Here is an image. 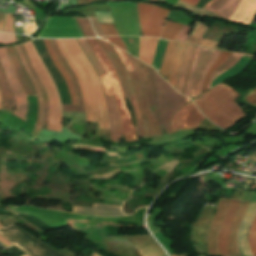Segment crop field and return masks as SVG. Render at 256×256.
Here are the masks:
<instances>
[{
	"label": "crop field",
	"instance_id": "1",
	"mask_svg": "<svg viewBox=\"0 0 256 256\" xmlns=\"http://www.w3.org/2000/svg\"><path fill=\"white\" fill-rule=\"evenodd\" d=\"M56 42L77 77L83 94L87 121L99 122L98 129H109L101 85L76 39L56 40Z\"/></svg>",
	"mask_w": 256,
	"mask_h": 256
},
{
	"label": "crop field",
	"instance_id": "2",
	"mask_svg": "<svg viewBox=\"0 0 256 256\" xmlns=\"http://www.w3.org/2000/svg\"><path fill=\"white\" fill-rule=\"evenodd\" d=\"M204 94L206 96L195 103L216 125L228 129L245 116L233 101L240 94L222 83Z\"/></svg>",
	"mask_w": 256,
	"mask_h": 256
},
{
	"label": "crop field",
	"instance_id": "3",
	"mask_svg": "<svg viewBox=\"0 0 256 256\" xmlns=\"http://www.w3.org/2000/svg\"><path fill=\"white\" fill-rule=\"evenodd\" d=\"M86 40L106 71L98 76L103 86L104 94L113 95L115 98L117 109L122 121V134L125 137L126 142L135 141L137 140L135 127L133 126L129 113L124 105L125 96L116 71L96 39Z\"/></svg>",
	"mask_w": 256,
	"mask_h": 256
},
{
	"label": "crop field",
	"instance_id": "4",
	"mask_svg": "<svg viewBox=\"0 0 256 256\" xmlns=\"http://www.w3.org/2000/svg\"><path fill=\"white\" fill-rule=\"evenodd\" d=\"M23 45L26 47V50L30 56L31 64L35 68L48 94L50 108H49V122H48L47 129L61 132V125H62L61 104H60L56 87L52 82L43 62L39 58L32 42L30 41Z\"/></svg>",
	"mask_w": 256,
	"mask_h": 256
},
{
	"label": "crop field",
	"instance_id": "5",
	"mask_svg": "<svg viewBox=\"0 0 256 256\" xmlns=\"http://www.w3.org/2000/svg\"><path fill=\"white\" fill-rule=\"evenodd\" d=\"M151 70L161 121L167 133L170 134V120L178 109L186 103V99L172 89L154 69L151 68Z\"/></svg>",
	"mask_w": 256,
	"mask_h": 256
},
{
	"label": "crop field",
	"instance_id": "6",
	"mask_svg": "<svg viewBox=\"0 0 256 256\" xmlns=\"http://www.w3.org/2000/svg\"><path fill=\"white\" fill-rule=\"evenodd\" d=\"M0 235L31 256H64L14 224L0 229Z\"/></svg>",
	"mask_w": 256,
	"mask_h": 256
},
{
	"label": "crop field",
	"instance_id": "7",
	"mask_svg": "<svg viewBox=\"0 0 256 256\" xmlns=\"http://www.w3.org/2000/svg\"><path fill=\"white\" fill-rule=\"evenodd\" d=\"M97 41L99 42V44L102 46V48L104 49V51L106 52V54L108 55V57L110 58L111 62L113 63L119 80L121 82V85L123 87V90L125 92V95L127 97V100L130 101L132 107H133V111H134V117H135V124L137 126V135L138 137L141 138H148L146 131H145V127L142 121V118L140 116L139 113V109L128 79V76L126 74V71L123 67V65L121 64L119 58L117 57L116 53L114 52V50L112 49V47L110 46V44L97 39Z\"/></svg>",
	"mask_w": 256,
	"mask_h": 256
},
{
	"label": "crop field",
	"instance_id": "8",
	"mask_svg": "<svg viewBox=\"0 0 256 256\" xmlns=\"http://www.w3.org/2000/svg\"><path fill=\"white\" fill-rule=\"evenodd\" d=\"M143 36H160L163 21L169 10L146 3H137Z\"/></svg>",
	"mask_w": 256,
	"mask_h": 256
},
{
	"label": "crop field",
	"instance_id": "9",
	"mask_svg": "<svg viewBox=\"0 0 256 256\" xmlns=\"http://www.w3.org/2000/svg\"><path fill=\"white\" fill-rule=\"evenodd\" d=\"M83 37L74 17H49L38 38Z\"/></svg>",
	"mask_w": 256,
	"mask_h": 256
},
{
	"label": "crop field",
	"instance_id": "10",
	"mask_svg": "<svg viewBox=\"0 0 256 256\" xmlns=\"http://www.w3.org/2000/svg\"><path fill=\"white\" fill-rule=\"evenodd\" d=\"M128 57L131 60L132 64L134 65V67L139 75V78L142 83L143 90H144V93H145V96H146V99L148 102V106H149L157 124L159 125L163 135H165L166 132L161 124L156 101H155L154 85H153V81H152V77H151L150 68H149V66L142 63L138 59H136L130 55H128Z\"/></svg>",
	"mask_w": 256,
	"mask_h": 256
},
{
	"label": "crop field",
	"instance_id": "11",
	"mask_svg": "<svg viewBox=\"0 0 256 256\" xmlns=\"http://www.w3.org/2000/svg\"><path fill=\"white\" fill-rule=\"evenodd\" d=\"M6 51L8 53V56L10 58V61L12 63V66L14 68V71L16 73V76L21 84V86L23 87L25 94L27 96V98H32L35 99L34 94H33V90L29 84V81L20 65V62L18 60V57L15 53V50L13 47H9L6 48ZM28 100V111L26 114V118H25V122L31 123L33 125H35L36 122V117H37V100H31V99H27Z\"/></svg>",
	"mask_w": 256,
	"mask_h": 256
},
{
	"label": "crop field",
	"instance_id": "12",
	"mask_svg": "<svg viewBox=\"0 0 256 256\" xmlns=\"http://www.w3.org/2000/svg\"><path fill=\"white\" fill-rule=\"evenodd\" d=\"M0 62L8 79L12 92L16 98V111L14 115L24 120L27 110L26 96L16 79L15 73L12 69L4 47L0 48Z\"/></svg>",
	"mask_w": 256,
	"mask_h": 256
},
{
	"label": "crop field",
	"instance_id": "13",
	"mask_svg": "<svg viewBox=\"0 0 256 256\" xmlns=\"http://www.w3.org/2000/svg\"><path fill=\"white\" fill-rule=\"evenodd\" d=\"M203 119L204 117L191 101L173 116L171 120L172 133L182 129H197L199 122Z\"/></svg>",
	"mask_w": 256,
	"mask_h": 256
},
{
	"label": "crop field",
	"instance_id": "14",
	"mask_svg": "<svg viewBox=\"0 0 256 256\" xmlns=\"http://www.w3.org/2000/svg\"><path fill=\"white\" fill-rule=\"evenodd\" d=\"M127 73L130 77V80L133 84V87L137 96V100L139 103L140 111L142 114V118L146 127L148 137L151 138V137L161 136L162 135L161 131L159 130L155 120L153 119V117L151 116L148 110V106L146 104L142 86L137 76V73L136 72H127Z\"/></svg>",
	"mask_w": 256,
	"mask_h": 256
},
{
	"label": "crop field",
	"instance_id": "15",
	"mask_svg": "<svg viewBox=\"0 0 256 256\" xmlns=\"http://www.w3.org/2000/svg\"><path fill=\"white\" fill-rule=\"evenodd\" d=\"M228 202L229 200L221 199L217 207L214 220L210 227L208 241H207L208 254L210 255L219 256L217 253V238H218L221 222L226 214Z\"/></svg>",
	"mask_w": 256,
	"mask_h": 256
},
{
	"label": "crop field",
	"instance_id": "16",
	"mask_svg": "<svg viewBox=\"0 0 256 256\" xmlns=\"http://www.w3.org/2000/svg\"><path fill=\"white\" fill-rule=\"evenodd\" d=\"M238 200H231L227 214L222 222L219 239H218V253L220 256H229L227 253V241H228V232L233 220L235 211L239 205Z\"/></svg>",
	"mask_w": 256,
	"mask_h": 256
},
{
	"label": "crop field",
	"instance_id": "17",
	"mask_svg": "<svg viewBox=\"0 0 256 256\" xmlns=\"http://www.w3.org/2000/svg\"><path fill=\"white\" fill-rule=\"evenodd\" d=\"M256 211V203L250 202L249 208L242 220V223L240 225L238 235H237V243L238 248L242 256H252L250 249H249V243L246 239V231L248 229V226L250 224V221Z\"/></svg>",
	"mask_w": 256,
	"mask_h": 256
},
{
	"label": "crop field",
	"instance_id": "18",
	"mask_svg": "<svg viewBox=\"0 0 256 256\" xmlns=\"http://www.w3.org/2000/svg\"><path fill=\"white\" fill-rule=\"evenodd\" d=\"M214 50L213 49H208L202 47L199 61L195 67L192 82H191V87H190V97H196L198 96V87L200 80L202 78V75L204 73V70L213 54Z\"/></svg>",
	"mask_w": 256,
	"mask_h": 256
},
{
	"label": "crop field",
	"instance_id": "19",
	"mask_svg": "<svg viewBox=\"0 0 256 256\" xmlns=\"http://www.w3.org/2000/svg\"><path fill=\"white\" fill-rule=\"evenodd\" d=\"M50 40H51L53 49H54L61 65L66 69L67 73L69 74V76L71 78V81L74 85L76 96H77L78 105H62L63 111L84 112L82 97H81V93H80V89H79L76 77H75L73 71L70 69V67L66 63L63 56L61 55L60 51L58 50L55 40H52V39H50Z\"/></svg>",
	"mask_w": 256,
	"mask_h": 256
},
{
	"label": "crop field",
	"instance_id": "20",
	"mask_svg": "<svg viewBox=\"0 0 256 256\" xmlns=\"http://www.w3.org/2000/svg\"><path fill=\"white\" fill-rule=\"evenodd\" d=\"M256 13V0H241L229 20L251 25Z\"/></svg>",
	"mask_w": 256,
	"mask_h": 256
},
{
	"label": "crop field",
	"instance_id": "21",
	"mask_svg": "<svg viewBox=\"0 0 256 256\" xmlns=\"http://www.w3.org/2000/svg\"><path fill=\"white\" fill-rule=\"evenodd\" d=\"M108 118L110 121V137L113 142H120L121 121L116 110L115 102L112 96H104Z\"/></svg>",
	"mask_w": 256,
	"mask_h": 256
},
{
	"label": "crop field",
	"instance_id": "22",
	"mask_svg": "<svg viewBox=\"0 0 256 256\" xmlns=\"http://www.w3.org/2000/svg\"><path fill=\"white\" fill-rule=\"evenodd\" d=\"M249 201L247 202H240L239 208L235 214L233 223L230 228L229 232V254L231 256H240V253L237 248L236 244V234L240 225V222L242 220V217L245 213V211L248 208Z\"/></svg>",
	"mask_w": 256,
	"mask_h": 256
},
{
	"label": "crop field",
	"instance_id": "23",
	"mask_svg": "<svg viewBox=\"0 0 256 256\" xmlns=\"http://www.w3.org/2000/svg\"><path fill=\"white\" fill-rule=\"evenodd\" d=\"M73 211L81 214H93V215H101V216H120L123 215L120 211V207L111 206V205H103L93 203L92 208L86 207H76L72 206Z\"/></svg>",
	"mask_w": 256,
	"mask_h": 256
},
{
	"label": "crop field",
	"instance_id": "24",
	"mask_svg": "<svg viewBox=\"0 0 256 256\" xmlns=\"http://www.w3.org/2000/svg\"><path fill=\"white\" fill-rule=\"evenodd\" d=\"M185 45L186 44H184V43L178 42L176 45L175 52H174L170 73H169V76L167 79V81L171 84V86L173 88H175L176 81L178 79Z\"/></svg>",
	"mask_w": 256,
	"mask_h": 256
},
{
	"label": "crop field",
	"instance_id": "25",
	"mask_svg": "<svg viewBox=\"0 0 256 256\" xmlns=\"http://www.w3.org/2000/svg\"><path fill=\"white\" fill-rule=\"evenodd\" d=\"M139 39L140 51L138 58L145 61L149 65H152L153 56L158 39L152 37H139Z\"/></svg>",
	"mask_w": 256,
	"mask_h": 256
},
{
	"label": "crop field",
	"instance_id": "26",
	"mask_svg": "<svg viewBox=\"0 0 256 256\" xmlns=\"http://www.w3.org/2000/svg\"><path fill=\"white\" fill-rule=\"evenodd\" d=\"M0 89L3 96L2 109L12 113V108L15 106V98L10 90L9 84L4 75L1 65H0Z\"/></svg>",
	"mask_w": 256,
	"mask_h": 256
},
{
	"label": "crop field",
	"instance_id": "27",
	"mask_svg": "<svg viewBox=\"0 0 256 256\" xmlns=\"http://www.w3.org/2000/svg\"><path fill=\"white\" fill-rule=\"evenodd\" d=\"M252 58L244 57L242 56L241 59L237 62L235 66L228 69L226 72L221 74L219 77H217L212 83L210 88L217 85L218 83L227 80L235 75H238L244 71V69L248 66V64L251 62Z\"/></svg>",
	"mask_w": 256,
	"mask_h": 256
},
{
	"label": "crop field",
	"instance_id": "28",
	"mask_svg": "<svg viewBox=\"0 0 256 256\" xmlns=\"http://www.w3.org/2000/svg\"><path fill=\"white\" fill-rule=\"evenodd\" d=\"M15 48H16V50H17V53H18V55H19V57H20V60H21V62H22V64H23V66H24L26 72H27V74H28V76H29V78H30L32 84H33L35 93H36L37 98H38L39 111H38V118H37V124H36V126L39 127V128H41V127H42V124H43V100H42V98H41V95H40L38 86H37V84H36V82H35V80H34L32 74H31L29 68L27 67V65H26V63H25L23 54H22V52H21L19 46H16Z\"/></svg>",
	"mask_w": 256,
	"mask_h": 256
},
{
	"label": "crop field",
	"instance_id": "29",
	"mask_svg": "<svg viewBox=\"0 0 256 256\" xmlns=\"http://www.w3.org/2000/svg\"><path fill=\"white\" fill-rule=\"evenodd\" d=\"M44 40V43L46 45V48L48 50V53L53 61V63L55 64V66L57 67V69L60 71V73L64 76L65 78V81H66V84L69 88V92H70V96H71V101H72V104H77L76 102V97H75V92H74V88H73V85L65 71V69L59 64L56 56H55V53L52 49V46H51V43H50V40L49 39H43Z\"/></svg>",
	"mask_w": 256,
	"mask_h": 256
},
{
	"label": "crop field",
	"instance_id": "30",
	"mask_svg": "<svg viewBox=\"0 0 256 256\" xmlns=\"http://www.w3.org/2000/svg\"><path fill=\"white\" fill-rule=\"evenodd\" d=\"M20 48L24 54V57H25V60H26V63L28 65V67L30 68L32 74L34 75L37 83H38V86H39V89H40V92H41V95H42V98L44 100V125L42 128L46 129L47 128V114H48V98H47V94H46V91L41 83V81L39 80L37 74L35 73L33 67L31 66L30 64V61H29V57L26 53V50L25 48L23 47V45H20Z\"/></svg>",
	"mask_w": 256,
	"mask_h": 256
},
{
	"label": "crop field",
	"instance_id": "31",
	"mask_svg": "<svg viewBox=\"0 0 256 256\" xmlns=\"http://www.w3.org/2000/svg\"><path fill=\"white\" fill-rule=\"evenodd\" d=\"M193 47L194 46L188 45V44L186 46L181 72H180V75H179L177 86L175 88V90H177L179 93H182V90H183V85H184L185 77H186V74H187L188 66H189V63H190Z\"/></svg>",
	"mask_w": 256,
	"mask_h": 256
},
{
	"label": "crop field",
	"instance_id": "32",
	"mask_svg": "<svg viewBox=\"0 0 256 256\" xmlns=\"http://www.w3.org/2000/svg\"><path fill=\"white\" fill-rule=\"evenodd\" d=\"M239 1L240 0H225L224 3L216 10L206 7H204L203 9L212 11L216 15H219L220 17L227 19L230 16V14L235 10Z\"/></svg>",
	"mask_w": 256,
	"mask_h": 256
},
{
	"label": "crop field",
	"instance_id": "33",
	"mask_svg": "<svg viewBox=\"0 0 256 256\" xmlns=\"http://www.w3.org/2000/svg\"><path fill=\"white\" fill-rule=\"evenodd\" d=\"M245 54H237V53H231V55L228 57V59L222 64L220 65L212 74L208 86H207V90L209 88L210 83L216 78V76L222 72H224L225 70H227L228 68L232 67L233 65L236 64V62L239 60V58ZM245 56H250L251 55H245Z\"/></svg>",
	"mask_w": 256,
	"mask_h": 256
},
{
	"label": "crop field",
	"instance_id": "34",
	"mask_svg": "<svg viewBox=\"0 0 256 256\" xmlns=\"http://www.w3.org/2000/svg\"><path fill=\"white\" fill-rule=\"evenodd\" d=\"M175 44H176V42H172V41L168 42V45H167V48H166V51H165V54H164V57L162 60V64L160 67V71H159V73L161 75H163L164 77H167V75H168L174 48H175Z\"/></svg>",
	"mask_w": 256,
	"mask_h": 256
},
{
	"label": "crop field",
	"instance_id": "35",
	"mask_svg": "<svg viewBox=\"0 0 256 256\" xmlns=\"http://www.w3.org/2000/svg\"><path fill=\"white\" fill-rule=\"evenodd\" d=\"M207 30H208V27L196 21L194 28L187 39V42L198 45Z\"/></svg>",
	"mask_w": 256,
	"mask_h": 256
},
{
	"label": "crop field",
	"instance_id": "36",
	"mask_svg": "<svg viewBox=\"0 0 256 256\" xmlns=\"http://www.w3.org/2000/svg\"><path fill=\"white\" fill-rule=\"evenodd\" d=\"M181 27H182V24H178V23L166 20L161 37L165 39L175 40Z\"/></svg>",
	"mask_w": 256,
	"mask_h": 256
},
{
	"label": "crop field",
	"instance_id": "37",
	"mask_svg": "<svg viewBox=\"0 0 256 256\" xmlns=\"http://www.w3.org/2000/svg\"><path fill=\"white\" fill-rule=\"evenodd\" d=\"M141 256H158L165 254L156 242L137 246Z\"/></svg>",
	"mask_w": 256,
	"mask_h": 256
},
{
	"label": "crop field",
	"instance_id": "38",
	"mask_svg": "<svg viewBox=\"0 0 256 256\" xmlns=\"http://www.w3.org/2000/svg\"><path fill=\"white\" fill-rule=\"evenodd\" d=\"M229 55H230L229 52L220 51V53H219L218 57L216 58L214 64L211 66V68L208 70V72L205 76L201 93L205 92L209 77H210L211 73L213 72V70L216 67H218L221 63H223Z\"/></svg>",
	"mask_w": 256,
	"mask_h": 256
},
{
	"label": "crop field",
	"instance_id": "39",
	"mask_svg": "<svg viewBox=\"0 0 256 256\" xmlns=\"http://www.w3.org/2000/svg\"><path fill=\"white\" fill-rule=\"evenodd\" d=\"M167 42H168L167 40H163V39H159L158 41V45H157V49H156V53H155V57L152 65V67H154L157 71L159 70L160 63H161Z\"/></svg>",
	"mask_w": 256,
	"mask_h": 256
},
{
	"label": "crop field",
	"instance_id": "40",
	"mask_svg": "<svg viewBox=\"0 0 256 256\" xmlns=\"http://www.w3.org/2000/svg\"><path fill=\"white\" fill-rule=\"evenodd\" d=\"M85 37H96L88 18L75 17Z\"/></svg>",
	"mask_w": 256,
	"mask_h": 256
},
{
	"label": "crop field",
	"instance_id": "41",
	"mask_svg": "<svg viewBox=\"0 0 256 256\" xmlns=\"http://www.w3.org/2000/svg\"><path fill=\"white\" fill-rule=\"evenodd\" d=\"M252 222L256 223V214H255ZM248 240L250 243L251 252H252L253 256H256V224H254V223H251V225H250Z\"/></svg>",
	"mask_w": 256,
	"mask_h": 256
},
{
	"label": "crop field",
	"instance_id": "42",
	"mask_svg": "<svg viewBox=\"0 0 256 256\" xmlns=\"http://www.w3.org/2000/svg\"><path fill=\"white\" fill-rule=\"evenodd\" d=\"M98 23L113 24L109 11H95Z\"/></svg>",
	"mask_w": 256,
	"mask_h": 256
},
{
	"label": "crop field",
	"instance_id": "43",
	"mask_svg": "<svg viewBox=\"0 0 256 256\" xmlns=\"http://www.w3.org/2000/svg\"><path fill=\"white\" fill-rule=\"evenodd\" d=\"M114 47V46H113ZM120 57V59L122 60V62L124 63V65L126 66V68L128 69V71H132L134 70L130 60L128 59L127 55L125 52H123L122 50L114 47Z\"/></svg>",
	"mask_w": 256,
	"mask_h": 256
},
{
	"label": "crop field",
	"instance_id": "44",
	"mask_svg": "<svg viewBox=\"0 0 256 256\" xmlns=\"http://www.w3.org/2000/svg\"><path fill=\"white\" fill-rule=\"evenodd\" d=\"M99 26L105 35H118L114 25L99 24Z\"/></svg>",
	"mask_w": 256,
	"mask_h": 256
},
{
	"label": "crop field",
	"instance_id": "45",
	"mask_svg": "<svg viewBox=\"0 0 256 256\" xmlns=\"http://www.w3.org/2000/svg\"><path fill=\"white\" fill-rule=\"evenodd\" d=\"M190 27H187L185 25H183L180 33L178 34L177 38H176V41H182V42H186V39L189 35V32H190Z\"/></svg>",
	"mask_w": 256,
	"mask_h": 256
},
{
	"label": "crop field",
	"instance_id": "46",
	"mask_svg": "<svg viewBox=\"0 0 256 256\" xmlns=\"http://www.w3.org/2000/svg\"><path fill=\"white\" fill-rule=\"evenodd\" d=\"M15 36L11 34L0 33V43L8 44L15 42Z\"/></svg>",
	"mask_w": 256,
	"mask_h": 256
},
{
	"label": "crop field",
	"instance_id": "47",
	"mask_svg": "<svg viewBox=\"0 0 256 256\" xmlns=\"http://www.w3.org/2000/svg\"><path fill=\"white\" fill-rule=\"evenodd\" d=\"M12 18H13V14L6 13L5 30L4 31L13 33Z\"/></svg>",
	"mask_w": 256,
	"mask_h": 256
},
{
	"label": "crop field",
	"instance_id": "48",
	"mask_svg": "<svg viewBox=\"0 0 256 256\" xmlns=\"http://www.w3.org/2000/svg\"><path fill=\"white\" fill-rule=\"evenodd\" d=\"M244 100H245L247 103L256 106V89H254L253 91H251V92L244 98Z\"/></svg>",
	"mask_w": 256,
	"mask_h": 256
},
{
	"label": "crop field",
	"instance_id": "49",
	"mask_svg": "<svg viewBox=\"0 0 256 256\" xmlns=\"http://www.w3.org/2000/svg\"><path fill=\"white\" fill-rule=\"evenodd\" d=\"M110 43L126 50L124 43L121 41L120 37H107ZM127 51V50H126Z\"/></svg>",
	"mask_w": 256,
	"mask_h": 256
},
{
	"label": "crop field",
	"instance_id": "50",
	"mask_svg": "<svg viewBox=\"0 0 256 256\" xmlns=\"http://www.w3.org/2000/svg\"><path fill=\"white\" fill-rule=\"evenodd\" d=\"M200 49H201V47L197 48L195 60H194V63H193V67H192V70H191V74H190V77H189L188 86H187V90H186V94H185L186 96H188V94H189L190 81H191V77H192L194 66H195V64H196V62L198 60V57H199Z\"/></svg>",
	"mask_w": 256,
	"mask_h": 256
},
{
	"label": "crop field",
	"instance_id": "51",
	"mask_svg": "<svg viewBox=\"0 0 256 256\" xmlns=\"http://www.w3.org/2000/svg\"><path fill=\"white\" fill-rule=\"evenodd\" d=\"M218 43H219V42H217V41H211V40L203 39L201 45H202V46H206V47H210V48L216 49Z\"/></svg>",
	"mask_w": 256,
	"mask_h": 256
},
{
	"label": "crop field",
	"instance_id": "52",
	"mask_svg": "<svg viewBox=\"0 0 256 256\" xmlns=\"http://www.w3.org/2000/svg\"><path fill=\"white\" fill-rule=\"evenodd\" d=\"M3 225L0 223V228H2ZM0 245L4 248V249H9L10 247L14 246L11 243H9L7 240H5L4 238L0 237Z\"/></svg>",
	"mask_w": 256,
	"mask_h": 256
},
{
	"label": "crop field",
	"instance_id": "53",
	"mask_svg": "<svg viewBox=\"0 0 256 256\" xmlns=\"http://www.w3.org/2000/svg\"><path fill=\"white\" fill-rule=\"evenodd\" d=\"M224 0H211L207 3L206 7L216 9Z\"/></svg>",
	"mask_w": 256,
	"mask_h": 256
},
{
	"label": "crop field",
	"instance_id": "54",
	"mask_svg": "<svg viewBox=\"0 0 256 256\" xmlns=\"http://www.w3.org/2000/svg\"><path fill=\"white\" fill-rule=\"evenodd\" d=\"M218 53H219V51H215V53H214V55H213L209 65H208V67H207V69H206V71H205V73L203 75V78H202V81H201L200 87H199V95H200V92H201V86H202V82H203L204 76H205L207 70L209 69V67L213 64V62H214L215 58L217 57Z\"/></svg>",
	"mask_w": 256,
	"mask_h": 256
},
{
	"label": "crop field",
	"instance_id": "55",
	"mask_svg": "<svg viewBox=\"0 0 256 256\" xmlns=\"http://www.w3.org/2000/svg\"><path fill=\"white\" fill-rule=\"evenodd\" d=\"M196 47H194V51H193V55H192V59H191V63H190V66H189V70H188V74H187V77H186V81H185V86H184V90H183V95L185 94V90H186V85H187V81H188V77H189V74H190V70H191V67H192V63H193V59H194V55H195V51H196Z\"/></svg>",
	"mask_w": 256,
	"mask_h": 256
},
{
	"label": "crop field",
	"instance_id": "56",
	"mask_svg": "<svg viewBox=\"0 0 256 256\" xmlns=\"http://www.w3.org/2000/svg\"><path fill=\"white\" fill-rule=\"evenodd\" d=\"M182 1L187 2V3H189V4L193 5V6H196V4L198 2V0H182Z\"/></svg>",
	"mask_w": 256,
	"mask_h": 256
},
{
	"label": "crop field",
	"instance_id": "57",
	"mask_svg": "<svg viewBox=\"0 0 256 256\" xmlns=\"http://www.w3.org/2000/svg\"><path fill=\"white\" fill-rule=\"evenodd\" d=\"M3 19H4V14L0 13V31L2 30V27H3Z\"/></svg>",
	"mask_w": 256,
	"mask_h": 256
},
{
	"label": "crop field",
	"instance_id": "58",
	"mask_svg": "<svg viewBox=\"0 0 256 256\" xmlns=\"http://www.w3.org/2000/svg\"><path fill=\"white\" fill-rule=\"evenodd\" d=\"M1 107H2V96H1V93H0V110H1Z\"/></svg>",
	"mask_w": 256,
	"mask_h": 256
},
{
	"label": "crop field",
	"instance_id": "59",
	"mask_svg": "<svg viewBox=\"0 0 256 256\" xmlns=\"http://www.w3.org/2000/svg\"><path fill=\"white\" fill-rule=\"evenodd\" d=\"M171 256H176L175 254H170ZM180 256H186V254H184V255H180Z\"/></svg>",
	"mask_w": 256,
	"mask_h": 256
},
{
	"label": "crop field",
	"instance_id": "60",
	"mask_svg": "<svg viewBox=\"0 0 256 256\" xmlns=\"http://www.w3.org/2000/svg\"><path fill=\"white\" fill-rule=\"evenodd\" d=\"M20 256H28V255L24 253V254H22V255H20Z\"/></svg>",
	"mask_w": 256,
	"mask_h": 256
},
{
	"label": "crop field",
	"instance_id": "61",
	"mask_svg": "<svg viewBox=\"0 0 256 256\" xmlns=\"http://www.w3.org/2000/svg\"><path fill=\"white\" fill-rule=\"evenodd\" d=\"M150 1H156V2H159V0H150Z\"/></svg>",
	"mask_w": 256,
	"mask_h": 256
}]
</instances>
